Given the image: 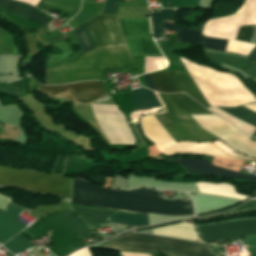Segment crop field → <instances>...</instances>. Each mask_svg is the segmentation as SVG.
<instances>
[{"label": "crop field", "mask_w": 256, "mask_h": 256, "mask_svg": "<svg viewBox=\"0 0 256 256\" xmlns=\"http://www.w3.org/2000/svg\"><path fill=\"white\" fill-rule=\"evenodd\" d=\"M86 26L96 48L76 62L47 69V84L105 80L101 69L134 66L116 15H102Z\"/></svg>", "instance_id": "1"}, {"label": "crop field", "mask_w": 256, "mask_h": 256, "mask_svg": "<svg viewBox=\"0 0 256 256\" xmlns=\"http://www.w3.org/2000/svg\"><path fill=\"white\" fill-rule=\"evenodd\" d=\"M71 202L145 214L193 215L191 201L160 199L155 191L139 189L118 192L84 183L73 178Z\"/></svg>", "instance_id": "2"}, {"label": "crop field", "mask_w": 256, "mask_h": 256, "mask_svg": "<svg viewBox=\"0 0 256 256\" xmlns=\"http://www.w3.org/2000/svg\"><path fill=\"white\" fill-rule=\"evenodd\" d=\"M179 58L210 106L236 107L256 102L231 74L221 73Z\"/></svg>", "instance_id": "3"}, {"label": "crop field", "mask_w": 256, "mask_h": 256, "mask_svg": "<svg viewBox=\"0 0 256 256\" xmlns=\"http://www.w3.org/2000/svg\"><path fill=\"white\" fill-rule=\"evenodd\" d=\"M159 95L169 113L155 115V117L175 142L181 140L205 141L217 139L202 130L188 115L210 114L199 104L184 94Z\"/></svg>", "instance_id": "4"}, {"label": "crop field", "mask_w": 256, "mask_h": 256, "mask_svg": "<svg viewBox=\"0 0 256 256\" xmlns=\"http://www.w3.org/2000/svg\"><path fill=\"white\" fill-rule=\"evenodd\" d=\"M103 248L133 252H154L172 256H217L198 243L130 232L108 241Z\"/></svg>", "instance_id": "5"}, {"label": "crop field", "mask_w": 256, "mask_h": 256, "mask_svg": "<svg viewBox=\"0 0 256 256\" xmlns=\"http://www.w3.org/2000/svg\"><path fill=\"white\" fill-rule=\"evenodd\" d=\"M247 24H256V0H245L244 5L234 15L206 22L202 34L229 39L227 52L247 56L255 45L234 40L239 25Z\"/></svg>", "instance_id": "6"}, {"label": "crop field", "mask_w": 256, "mask_h": 256, "mask_svg": "<svg viewBox=\"0 0 256 256\" xmlns=\"http://www.w3.org/2000/svg\"><path fill=\"white\" fill-rule=\"evenodd\" d=\"M0 185L70 198L71 178L0 166Z\"/></svg>", "instance_id": "7"}, {"label": "crop field", "mask_w": 256, "mask_h": 256, "mask_svg": "<svg viewBox=\"0 0 256 256\" xmlns=\"http://www.w3.org/2000/svg\"><path fill=\"white\" fill-rule=\"evenodd\" d=\"M141 126L145 137L154 142L158 150L166 155H174L180 153H201L220 158L234 159L223 153L221 150L217 149L211 143H175L154 116H143L141 120Z\"/></svg>", "instance_id": "8"}, {"label": "crop field", "mask_w": 256, "mask_h": 256, "mask_svg": "<svg viewBox=\"0 0 256 256\" xmlns=\"http://www.w3.org/2000/svg\"><path fill=\"white\" fill-rule=\"evenodd\" d=\"M204 242H217L221 240L241 238L246 235L256 234V219L228 222L197 227ZM246 246L248 256H256V235L240 239Z\"/></svg>", "instance_id": "9"}, {"label": "crop field", "mask_w": 256, "mask_h": 256, "mask_svg": "<svg viewBox=\"0 0 256 256\" xmlns=\"http://www.w3.org/2000/svg\"><path fill=\"white\" fill-rule=\"evenodd\" d=\"M200 127L220 138L232 149L256 158V142L240 134L234 126L214 115H191Z\"/></svg>", "instance_id": "10"}, {"label": "crop field", "mask_w": 256, "mask_h": 256, "mask_svg": "<svg viewBox=\"0 0 256 256\" xmlns=\"http://www.w3.org/2000/svg\"><path fill=\"white\" fill-rule=\"evenodd\" d=\"M80 0H39L35 7H42L61 12L73 16L79 8ZM0 6L17 13L30 20L44 25L50 19L35 11L33 7L28 4L13 0H0Z\"/></svg>", "instance_id": "11"}, {"label": "crop field", "mask_w": 256, "mask_h": 256, "mask_svg": "<svg viewBox=\"0 0 256 256\" xmlns=\"http://www.w3.org/2000/svg\"><path fill=\"white\" fill-rule=\"evenodd\" d=\"M71 209L79 218L91 226L105 224L106 220L115 213L113 211L85 208L72 204ZM106 224L141 228L148 226V217L116 212L107 220Z\"/></svg>", "instance_id": "12"}, {"label": "crop field", "mask_w": 256, "mask_h": 256, "mask_svg": "<svg viewBox=\"0 0 256 256\" xmlns=\"http://www.w3.org/2000/svg\"><path fill=\"white\" fill-rule=\"evenodd\" d=\"M149 75L157 91L164 93L186 92L205 108L209 107L187 72L162 70Z\"/></svg>", "instance_id": "13"}, {"label": "crop field", "mask_w": 256, "mask_h": 256, "mask_svg": "<svg viewBox=\"0 0 256 256\" xmlns=\"http://www.w3.org/2000/svg\"><path fill=\"white\" fill-rule=\"evenodd\" d=\"M39 91L46 96H58L77 103H87L107 93L102 82H81L56 87L40 86Z\"/></svg>", "instance_id": "14"}, {"label": "crop field", "mask_w": 256, "mask_h": 256, "mask_svg": "<svg viewBox=\"0 0 256 256\" xmlns=\"http://www.w3.org/2000/svg\"><path fill=\"white\" fill-rule=\"evenodd\" d=\"M172 160L179 163L185 169L186 172L225 176V177H231V178H237V179L256 182V176L254 175L240 174L237 172L214 167L210 164L209 161H206V160H200L195 158L172 159Z\"/></svg>", "instance_id": "15"}, {"label": "crop field", "mask_w": 256, "mask_h": 256, "mask_svg": "<svg viewBox=\"0 0 256 256\" xmlns=\"http://www.w3.org/2000/svg\"><path fill=\"white\" fill-rule=\"evenodd\" d=\"M21 211L13 205H10L7 212L0 211V244L26 228V225L16 220Z\"/></svg>", "instance_id": "16"}, {"label": "crop field", "mask_w": 256, "mask_h": 256, "mask_svg": "<svg viewBox=\"0 0 256 256\" xmlns=\"http://www.w3.org/2000/svg\"><path fill=\"white\" fill-rule=\"evenodd\" d=\"M155 235L198 241V234L193 225L179 223L151 229ZM201 241V240H200Z\"/></svg>", "instance_id": "17"}, {"label": "crop field", "mask_w": 256, "mask_h": 256, "mask_svg": "<svg viewBox=\"0 0 256 256\" xmlns=\"http://www.w3.org/2000/svg\"><path fill=\"white\" fill-rule=\"evenodd\" d=\"M125 39L132 56H162L151 36Z\"/></svg>", "instance_id": "18"}, {"label": "crop field", "mask_w": 256, "mask_h": 256, "mask_svg": "<svg viewBox=\"0 0 256 256\" xmlns=\"http://www.w3.org/2000/svg\"><path fill=\"white\" fill-rule=\"evenodd\" d=\"M205 58L208 60L218 61L220 63L228 64L235 66L245 73H247L251 78L255 79L256 77V65L251 64L248 60L239 58L236 56L223 55L213 52H204Z\"/></svg>", "instance_id": "19"}, {"label": "crop field", "mask_w": 256, "mask_h": 256, "mask_svg": "<svg viewBox=\"0 0 256 256\" xmlns=\"http://www.w3.org/2000/svg\"><path fill=\"white\" fill-rule=\"evenodd\" d=\"M131 100L135 110L161 107L153 91L145 88L134 90Z\"/></svg>", "instance_id": "20"}, {"label": "crop field", "mask_w": 256, "mask_h": 256, "mask_svg": "<svg viewBox=\"0 0 256 256\" xmlns=\"http://www.w3.org/2000/svg\"><path fill=\"white\" fill-rule=\"evenodd\" d=\"M125 36L151 35L148 19H118Z\"/></svg>", "instance_id": "21"}, {"label": "crop field", "mask_w": 256, "mask_h": 256, "mask_svg": "<svg viewBox=\"0 0 256 256\" xmlns=\"http://www.w3.org/2000/svg\"><path fill=\"white\" fill-rule=\"evenodd\" d=\"M199 192L244 199L247 196L237 193L235 187L226 184L195 183Z\"/></svg>", "instance_id": "22"}, {"label": "crop field", "mask_w": 256, "mask_h": 256, "mask_svg": "<svg viewBox=\"0 0 256 256\" xmlns=\"http://www.w3.org/2000/svg\"><path fill=\"white\" fill-rule=\"evenodd\" d=\"M162 29L178 31L177 41H180V42L198 44L202 42V40L204 39V36L201 35L202 32L184 29L164 21L162 24Z\"/></svg>", "instance_id": "23"}, {"label": "crop field", "mask_w": 256, "mask_h": 256, "mask_svg": "<svg viewBox=\"0 0 256 256\" xmlns=\"http://www.w3.org/2000/svg\"><path fill=\"white\" fill-rule=\"evenodd\" d=\"M174 9H162L161 12H152L151 24L154 33V38L157 39L161 35L162 20L173 21Z\"/></svg>", "instance_id": "24"}, {"label": "crop field", "mask_w": 256, "mask_h": 256, "mask_svg": "<svg viewBox=\"0 0 256 256\" xmlns=\"http://www.w3.org/2000/svg\"><path fill=\"white\" fill-rule=\"evenodd\" d=\"M60 216L67 222L78 237L90 234L88 228L83 225L73 214L67 209L58 212Z\"/></svg>", "instance_id": "25"}, {"label": "crop field", "mask_w": 256, "mask_h": 256, "mask_svg": "<svg viewBox=\"0 0 256 256\" xmlns=\"http://www.w3.org/2000/svg\"><path fill=\"white\" fill-rule=\"evenodd\" d=\"M207 109L210 110L211 112H213L214 114H216V115H218V116H220V117L230 121L232 124H234L237 127V129L241 133H243V134H245L247 136L251 137L252 133L255 130V127H252L250 125H247V124L239 121L238 119H236V118L226 114L225 112L221 111L220 109H218L216 107H209Z\"/></svg>", "instance_id": "26"}, {"label": "crop field", "mask_w": 256, "mask_h": 256, "mask_svg": "<svg viewBox=\"0 0 256 256\" xmlns=\"http://www.w3.org/2000/svg\"><path fill=\"white\" fill-rule=\"evenodd\" d=\"M218 108L256 127V113H253L250 110L243 107H240V108L218 107Z\"/></svg>", "instance_id": "27"}, {"label": "crop field", "mask_w": 256, "mask_h": 256, "mask_svg": "<svg viewBox=\"0 0 256 256\" xmlns=\"http://www.w3.org/2000/svg\"><path fill=\"white\" fill-rule=\"evenodd\" d=\"M31 243L19 234L4 247L13 254H19L31 247L33 245Z\"/></svg>", "instance_id": "28"}, {"label": "crop field", "mask_w": 256, "mask_h": 256, "mask_svg": "<svg viewBox=\"0 0 256 256\" xmlns=\"http://www.w3.org/2000/svg\"><path fill=\"white\" fill-rule=\"evenodd\" d=\"M17 52L13 37L0 30V54H16Z\"/></svg>", "instance_id": "29"}, {"label": "crop field", "mask_w": 256, "mask_h": 256, "mask_svg": "<svg viewBox=\"0 0 256 256\" xmlns=\"http://www.w3.org/2000/svg\"><path fill=\"white\" fill-rule=\"evenodd\" d=\"M84 53L95 48L86 26L74 30Z\"/></svg>", "instance_id": "30"}, {"label": "crop field", "mask_w": 256, "mask_h": 256, "mask_svg": "<svg viewBox=\"0 0 256 256\" xmlns=\"http://www.w3.org/2000/svg\"><path fill=\"white\" fill-rule=\"evenodd\" d=\"M0 92L5 94H19L25 95L26 89L24 88V81L21 79L17 82L9 83L0 86Z\"/></svg>", "instance_id": "31"}, {"label": "crop field", "mask_w": 256, "mask_h": 256, "mask_svg": "<svg viewBox=\"0 0 256 256\" xmlns=\"http://www.w3.org/2000/svg\"><path fill=\"white\" fill-rule=\"evenodd\" d=\"M198 6V0H163L162 8H183Z\"/></svg>", "instance_id": "32"}, {"label": "crop field", "mask_w": 256, "mask_h": 256, "mask_svg": "<svg viewBox=\"0 0 256 256\" xmlns=\"http://www.w3.org/2000/svg\"><path fill=\"white\" fill-rule=\"evenodd\" d=\"M228 40L216 39V38H207L203 42V46L206 48H212L217 50L225 51Z\"/></svg>", "instance_id": "33"}, {"label": "crop field", "mask_w": 256, "mask_h": 256, "mask_svg": "<svg viewBox=\"0 0 256 256\" xmlns=\"http://www.w3.org/2000/svg\"><path fill=\"white\" fill-rule=\"evenodd\" d=\"M253 26L254 25L240 26L235 39L248 42L253 32Z\"/></svg>", "instance_id": "34"}, {"label": "crop field", "mask_w": 256, "mask_h": 256, "mask_svg": "<svg viewBox=\"0 0 256 256\" xmlns=\"http://www.w3.org/2000/svg\"><path fill=\"white\" fill-rule=\"evenodd\" d=\"M251 210H256V201H249L245 205H243L233 211H230L228 213L216 214V215H212V216H208V217L221 216V215H227V214L234 213V212H244V211H251ZM208 217L199 218L198 220L208 218Z\"/></svg>", "instance_id": "35"}, {"label": "crop field", "mask_w": 256, "mask_h": 256, "mask_svg": "<svg viewBox=\"0 0 256 256\" xmlns=\"http://www.w3.org/2000/svg\"><path fill=\"white\" fill-rule=\"evenodd\" d=\"M213 144L216 145L217 147L221 148L224 152H226L227 154H229L233 157H237V158H240V159L251 160V161H256V159L249 158V157H246L244 155H241V154H238V153L234 152L233 150H231L229 147H227L225 144H223L220 141L213 142Z\"/></svg>", "instance_id": "36"}, {"label": "crop field", "mask_w": 256, "mask_h": 256, "mask_svg": "<svg viewBox=\"0 0 256 256\" xmlns=\"http://www.w3.org/2000/svg\"><path fill=\"white\" fill-rule=\"evenodd\" d=\"M120 2L122 0H106L102 14H116Z\"/></svg>", "instance_id": "37"}, {"label": "crop field", "mask_w": 256, "mask_h": 256, "mask_svg": "<svg viewBox=\"0 0 256 256\" xmlns=\"http://www.w3.org/2000/svg\"><path fill=\"white\" fill-rule=\"evenodd\" d=\"M11 202L10 198L0 195V210H6V207Z\"/></svg>", "instance_id": "38"}, {"label": "crop field", "mask_w": 256, "mask_h": 256, "mask_svg": "<svg viewBox=\"0 0 256 256\" xmlns=\"http://www.w3.org/2000/svg\"><path fill=\"white\" fill-rule=\"evenodd\" d=\"M70 256H91V255L87 251V247H85L84 249H82L78 252H75V253L71 254Z\"/></svg>", "instance_id": "39"}, {"label": "crop field", "mask_w": 256, "mask_h": 256, "mask_svg": "<svg viewBox=\"0 0 256 256\" xmlns=\"http://www.w3.org/2000/svg\"><path fill=\"white\" fill-rule=\"evenodd\" d=\"M143 76H144V78H145V80H146V83H147L148 87H149L150 89L155 90V88H154V86H153V84H152V81H151L149 75L146 74V75H143ZM155 91H156V90H155Z\"/></svg>", "instance_id": "40"}, {"label": "crop field", "mask_w": 256, "mask_h": 256, "mask_svg": "<svg viewBox=\"0 0 256 256\" xmlns=\"http://www.w3.org/2000/svg\"><path fill=\"white\" fill-rule=\"evenodd\" d=\"M248 57H250L251 59H253L254 61H256V46H255L254 49L249 53Z\"/></svg>", "instance_id": "41"}, {"label": "crop field", "mask_w": 256, "mask_h": 256, "mask_svg": "<svg viewBox=\"0 0 256 256\" xmlns=\"http://www.w3.org/2000/svg\"><path fill=\"white\" fill-rule=\"evenodd\" d=\"M244 107H246V108H248V109H250V110L256 112V103L248 104V105H246V106H244Z\"/></svg>", "instance_id": "42"}, {"label": "crop field", "mask_w": 256, "mask_h": 256, "mask_svg": "<svg viewBox=\"0 0 256 256\" xmlns=\"http://www.w3.org/2000/svg\"><path fill=\"white\" fill-rule=\"evenodd\" d=\"M254 199H256V198H254Z\"/></svg>", "instance_id": "43"}]
</instances>
